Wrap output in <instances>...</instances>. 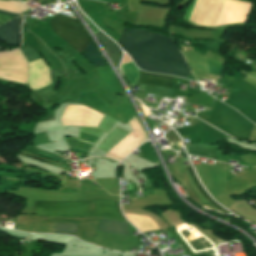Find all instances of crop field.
<instances>
[{
  "label": "crop field",
  "instance_id": "crop-field-13",
  "mask_svg": "<svg viewBox=\"0 0 256 256\" xmlns=\"http://www.w3.org/2000/svg\"><path fill=\"white\" fill-rule=\"evenodd\" d=\"M78 225L56 224L55 232L75 233Z\"/></svg>",
  "mask_w": 256,
  "mask_h": 256
},
{
  "label": "crop field",
  "instance_id": "crop-field-15",
  "mask_svg": "<svg viewBox=\"0 0 256 256\" xmlns=\"http://www.w3.org/2000/svg\"><path fill=\"white\" fill-rule=\"evenodd\" d=\"M83 17L86 19V21L88 22V24L90 25L91 29L93 30V32L96 35L99 32V30L84 15H83Z\"/></svg>",
  "mask_w": 256,
  "mask_h": 256
},
{
  "label": "crop field",
  "instance_id": "crop-field-7",
  "mask_svg": "<svg viewBox=\"0 0 256 256\" xmlns=\"http://www.w3.org/2000/svg\"><path fill=\"white\" fill-rule=\"evenodd\" d=\"M90 62L94 64L95 67L104 66L106 63L104 62L103 57L100 55V53L94 48L91 41L88 44L86 50L82 52Z\"/></svg>",
  "mask_w": 256,
  "mask_h": 256
},
{
  "label": "crop field",
  "instance_id": "crop-field-1",
  "mask_svg": "<svg viewBox=\"0 0 256 256\" xmlns=\"http://www.w3.org/2000/svg\"><path fill=\"white\" fill-rule=\"evenodd\" d=\"M118 44L146 71L183 78L192 74L171 39L156 32L123 28Z\"/></svg>",
  "mask_w": 256,
  "mask_h": 256
},
{
  "label": "crop field",
  "instance_id": "crop-field-10",
  "mask_svg": "<svg viewBox=\"0 0 256 256\" xmlns=\"http://www.w3.org/2000/svg\"><path fill=\"white\" fill-rule=\"evenodd\" d=\"M187 171L191 177V179L193 180V182L195 183L196 187L198 188V190L200 191V193L203 195V197L209 201L214 207H216L218 210H220L222 213L227 214L229 213L228 211H226L223 207H221L220 205H218L216 202H214L207 194L206 192L202 189L198 179L196 178L191 166L186 167Z\"/></svg>",
  "mask_w": 256,
  "mask_h": 256
},
{
  "label": "crop field",
  "instance_id": "crop-field-11",
  "mask_svg": "<svg viewBox=\"0 0 256 256\" xmlns=\"http://www.w3.org/2000/svg\"><path fill=\"white\" fill-rule=\"evenodd\" d=\"M121 70H122L124 76L126 77V79L128 80V82L130 83V85H133L134 82L137 80V76H138V72H137L133 62L123 64L121 67Z\"/></svg>",
  "mask_w": 256,
  "mask_h": 256
},
{
  "label": "crop field",
  "instance_id": "crop-field-9",
  "mask_svg": "<svg viewBox=\"0 0 256 256\" xmlns=\"http://www.w3.org/2000/svg\"><path fill=\"white\" fill-rule=\"evenodd\" d=\"M0 10L17 13V14H22L30 9L19 2L10 0L9 2L0 1Z\"/></svg>",
  "mask_w": 256,
  "mask_h": 256
},
{
  "label": "crop field",
  "instance_id": "crop-field-12",
  "mask_svg": "<svg viewBox=\"0 0 256 256\" xmlns=\"http://www.w3.org/2000/svg\"><path fill=\"white\" fill-rule=\"evenodd\" d=\"M96 181L100 186H102L104 189L109 188H119L117 179L116 178H110V179H93Z\"/></svg>",
  "mask_w": 256,
  "mask_h": 256
},
{
  "label": "crop field",
  "instance_id": "crop-field-16",
  "mask_svg": "<svg viewBox=\"0 0 256 256\" xmlns=\"http://www.w3.org/2000/svg\"><path fill=\"white\" fill-rule=\"evenodd\" d=\"M0 13L5 14V15H9V16H13V17L18 16L17 14H12V13H8V12H4V11H0Z\"/></svg>",
  "mask_w": 256,
  "mask_h": 256
},
{
  "label": "crop field",
  "instance_id": "crop-field-6",
  "mask_svg": "<svg viewBox=\"0 0 256 256\" xmlns=\"http://www.w3.org/2000/svg\"><path fill=\"white\" fill-rule=\"evenodd\" d=\"M96 36L104 45L108 55L110 56L114 65L117 67L121 59V50L109 38L104 36L102 33L99 32Z\"/></svg>",
  "mask_w": 256,
  "mask_h": 256
},
{
  "label": "crop field",
  "instance_id": "crop-field-4",
  "mask_svg": "<svg viewBox=\"0 0 256 256\" xmlns=\"http://www.w3.org/2000/svg\"><path fill=\"white\" fill-rule=\"evenodd\" d=\"M20 24L21 21L17 18L0 26V40L5 41L7 45H19Z\"/></svg>",
  "mask_w": 256,
  "mask_h": 256
},
{
  "label": "crop field",
  "instance_id": "crop-field-3",
  "mask_svg": "<svg viewBox=\"0 0 256 256\" xmlns=\"http://www.w3.org/2000/svg\"><path fill=\"white\" fill-rule=\"evenodd\" d=\"M50 22L53 33L79 53L85 50L90 38L78 20L58 14Z\"/></svg>",
  "mask_w": 256,
  "mask_h": 256
},
{
  "label": "crop field",
  "instance_id": "crop-field-8",
  "mask_svg": "<svg viewBox=\"0 0 256 256\" xmlns=\"http://www.w3.org/2000/svg\"><path fill=\"white\" fill-rule=\"evenodd\" d=\"M102 230H110L128 233L127 223L103 219L100 225Z\"/></svg>",
  "mask_w": 256,
  "mask_h": 256
},
{
  "label": "crop field",
  "instance_id": "crop-field-5",
  "mask_svg": "<svg viewBox=\"0 0 256 256\" xmlns=\"http://www.w3.org/2000/svg\"><path fill=\"white\" fill-rule=\"evenodd\" d=\"M140 79L138 83L141 84H150V85H159L164 87L172 88L173 77L148 74L140 71Z\"/></svg>",
  "mask_w": 256,
  "mask_h": 256
},
{
  "label": "crop field",
  "instance_id": "crop-field-2",
  "mask_svg": "<svg viewBox=\"0 0 256 256\" xmlns=\"http://www.w3.org/2000/svg\"><path fill=\"white\" fill-rule=\"evenodd\" d=\"M31 214L73 218L102 216L127 221L119 210L118 201L105 199L75 202L36 201Z\"/></svg>",
  "mask_w": 256,
  "mask_h": 256
},
{
  "label": "crop field",
  "instance_id": "crop-field-14",
  "mask_svg": "<svg viewBox=\"0 0 256 256\" xmlns=\"http://www.w3.org/2000/svg\"><path fill=\"white\" fill-rule=\"evenodd\" d=\"M80 139L94 143V142L96 141L97 137H94V136H92V135L85 134V133H82V132H81V134H80Z\"/></svg>",
  "mask_w": 256,
  "mask_h": 256
}]
</instances>
